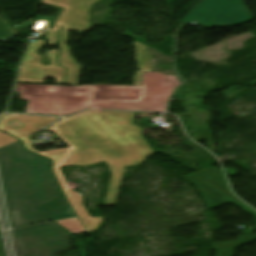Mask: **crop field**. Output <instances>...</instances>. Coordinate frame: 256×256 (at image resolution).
Listing matches in <instances>:
<instances>
[{"instance_id": "e52e79f7", "label": "crop field", "mask_w": 256, "mask_h": 256, "mask_svg": "<svg viewBox=\"0 0 256 256\" xmlns=\"http://www.w3.org/2000/svg\"><path fill=\"white\" fill-rule=\"evenodd\" d=\"M142 85L146 86V92L141 103L108 102L97 108L164 112L167 99L173 90L181 84L176 76L144 73Z\"/></svg>"}, {"instance_id": "d1516ede", "label": "crop field", "mask_w": 256, "mask_h": 256, "mask_svg": "<svg viewBox=\"0 0 256 256\" xmlns=\"http://www.w3.org/2000/svg\"><path fill=\"white\" fill-rule=\"evenodd\" d=\"M93 91L144 92L142 86H94Z\"/></svg>"}, {"instance_id": "bc2a9ffb", "label": "crop field", "mask_w": 256, "mask_h": 256, "mask_svg": "<svg viewBox=\"0 0 256 256\" xmlns=\"http://www.w3.org/2000/svg\"><path fill=\"white\" fill-rule=\"evenodd\" d=\"M74 91H77V90H86V86H77V87H73Z\"/></svg>"}, {"instance_id": "d9b57169", "label": "crop field", "mask_w": 256, "mask_h": 256, "mask_svg": "<svg viewBox=\"0 0 256 256\" xmlns=\"http://www.w3.org/2000/svg\"><path fill=\"white\" fill-rule=\"evenodd\" d=\"M32 24H33V18H31L19 25L14 26V28L17 30V32H19V31L31 26Z\"/></svg>"}, {"instance_id": "3316defc", "label": "crop field", "mask_w": 256, "mask_h": 256, "mask_svg": "<svg viewBox=\"0 0 256 256\" xmlns=\"http://www.w3.org/2000/svg\"><path fill=\"white\" fill-rule=\"evenodd\" d=\"M142 97L92 96L89 107H97L108 101L140 102Z\"/></svg>"}, {"instance_id": "92a150f3", "label": "crop field", "mask_w": 256, "mask_h": 256, "mask_svg": "<svg viewBox=\"0 0 256 256\" xmlns=\"http://www.w3.org/2000/svg\"><path fill=\"white\" fill-rule=\"evenodd\" d=\"M62 150L66 151V152H69V151H72V150H75V149H72V148H66V149H62Z\"/></svg>"}, {"instance_id": "8a807250", "label": "crop field", "mask_w": 256, "mask_h": 256, "mask_svg": "<svg viewBox=\"0 0 256 256\" xmlns=\"http://www.w3.org/2000/svg\"><path fill=\"white\" fill-rule=\"evenodd\" d=\"M134 118L135 113L87 111L45 129L53 131L70 147L77 149L69 153L60 149L42 153L33 150L30 136L57 121V118L6 114L0 119V129L21 139L27 150L54 162L53 172L65 196L87 232H91L97 230L104 218L89 216L82 204L83 198L68 188L60 166L93 165L105 161L112 177L104 206L115 205L124 168L138 165L154 152L140 134L142 128L132 123ZM13 120L21 122L22 127L15 130L8 126Z\"/></svg>"}, {"instance_id": "5a996713", "label": "crop field", "mask_w": 256, "mask_h": 256, "mask_svg": "<svg viewBox=\"0 0 256 256\" xmlns=\"http://www.w3.org/2000/svg\"><path fill=\"white\" fill-rule=\"evenodd\" d=\"M134 44L139 67V72L134 75V85H139L141 82L142 71H152V68L146 46L136 41H134Z\"/></svg>"}, {"instance_id": "214f88e0", "label": "crop field", "mask_w": 256, "mask_h": 256, "mask_svg": "<svg viewBox=\"0 0 256 256\" xmlns=\"http://www.w3.org/2000/svg\"><path fill=\"white\" fill-rule=\"evenodd\" d=\"M75 96H86V91H77Z\"/></svg>"}, {"instance_id": "5142ce71", "label": "crop field", "mask_w": 256, "mask_h": 256, "mask_svg": "<svg viewBox=\"0 0 256 256\" xmlns=\"http://www.w3.org/2000/svg\"><path fill=\"white\" fill-rule=\"evenodd\" d=\"M144 93L93 92L92 95L143 96Z\"/></svg>"}, {"instance_id": "d8731c3e", "label": "crop field", "mask_w": 256, "mask_h": 256, "mask_svg": "<svg viewBox=\"0 0 256 256\" xmlns=\"http://www.w3.org/2000/svg\"><path fill=\"white\" fill-rule=\"evenodd\" d=\"M38 210H40L53 221L77 217V215L70 207L66 197Z\"/></svg>"}, {"instance_id": "f4fd0767", "label": "crop field", "mask_w": 256, "mask_h": 256, "mask_svg": "<svg viewBox=\"0 0 256 256\" xmlns=\"http://www.w3.org/2000/svg\"><path fill=\"white\" fill-rule=\"evenodd\" d=\"M68 234L54 223L12 232L17 256H57L58 251L71 250Z\"/></svg>"}, {"instance_id": "28ad6ade", "label": "crop field", "mask_w": 256, "mask_h": 256, "mask_svg": "<svg viewBox=\"0 0 256 256\" xmlns=\"http://www.w3.org/2000/svg\"><path fill=\"white\" fill-rule=\"evenodd\" d=\"M56 223L62 226L67 231H69L70 233H72L73 235L86 232L79 219L72 218L68 220L56 221Z\"/></svg>"}, {"instance_id": "733c2abd", "label": "crop field", "mask_w": 256, "mask_h": 256, "mask_svg": "<svg viewBox=\"0 0 256 256\" xmlns=\"http://www.w3.org/2000/svg\"><path fill=\"white\" fill-rule=\"evenodd\" d=\"M9 125L15 129L21 127V123H19L18 121H14V122L10 123Z\"/></svg>"}, {"instance_id": "cbeb9de0", "label": "crop field", "mask_w": 256, "mask_h": 256, "mask_svg": "<svg viewBox=\"0 0 256 256\" xmlns=\"http://www.w3.org/2000/svg\"><path fill=\"white\" fill-rule=\"evenodd\" d=\"M16 141L19 140H17L16 138L7 133L0 132V147L14 143Z\"/></svg>"}, {"instance_id": "ac0d7876", "label": "crop field", "mask_w": 256, "mask_h": 256, "mask_svg": "<svg viewBox=\"0 0 256 256\" xmlns=\"http://www.w3.org/2000/svg\"><path fill=\"white\" fill-rule=\"evenodd\" d=\"M99 1L101 0H41L42 4L64 8L52 29L47 30L57 17L37 16L32 28V32H40L45 28L47 30L45 36L49 39L47 46H54L58 42L59 30L62 26L59 44L61 54L58 59L60 67L56 62L59 51L51 50L38 55L40 47L45 42L36 40L35 43H28L26 46L17 82L44 83L45 77H51L56 78L57 84H62L64 66L67 68L64 84L76 85L82 66L77 65L75 59L71 58L70 48L66 46L68 32L69 30L89 32L93 25L88 22L91 18L89 11L92 4Z\"/></svg>"}, {"instance_id": "34b2d1b8", "label": "crop field", "mask_w": 256, "mask_h": 256, "mask_svg": "<svg viewBox=\"0 0 256 256\" xmlns=\"http://www.w3.org/2000/svg\"><path fill=\"white\" fill-rule=\"evenodd\" d=\"M49 161L27 152L21 142L0 148V175L12 228L49 221L34 209L58 197Z\"/></svg>"}, {"instance_id": "412701ff", "label": "crop field", "mask_w": 256, "mask_h": 256, "mask_svg": "<svg viewBox=\"0 0 256 256\" xmlns=\"http://www.w3.org/2000/svg\"><path fill=\"white\" fill-rule=\"evenodd\" d=\"M72 87L24 84L20 99L29 100L25 113L65 115L89 105L93 86L86 97H74Z\"/></svg>"}, {"instance_id": "4a817a6b", "label": "crop field", "mask_w": 256, "mask_h": 256, "mask_svg": "<svg viewBox=\"0 0 256 256\" xmlns=\"http://www.w3.org/2000/svg\"><path fill=\"white\" fill-rule=\"evenodd\" d=\"M22 86H23V84H17L14 91L20 93L21 89H22Z\"/></svg>"}, {"instance_id": "dd49c442", "label": "crop field", "mask_w": 256, "mask_h": 256, "mask_svg": "<svg viewBox=\"0 0 256 256\" xmlns=\"http://www.w3.org/2000/svg\"><path fill=\"white\" fill-rule=\"evenodd\" d=\"M251 16L242 0H202L180 23L173 33L176 36L184 23L198 21L196 26L212 28L215 25H235ZM195 25V24H192Z\"/></svg>"}, {"instance_id": "22f410ed", "label": "crop field", "mask_w": 256, "mask_h": 256, "mask_svg": "<svg viewBox=\"0 0 256 256\" xmlns=\"http://www.w3.org/2000/svg\"><path fill=\"white\" fill-rule=\"evenodd\" d=\"M15 36V33L8 27L5 21L0 16V41L12 38Z\"/></svg>"}]
</instances>
